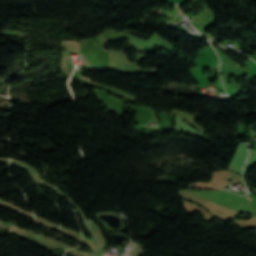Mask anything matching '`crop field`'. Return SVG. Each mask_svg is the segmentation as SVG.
I'll use <instances>...</instances> for the list:
<instances>
[{
    "label": "crop field",
    "instance_id": "obj_1",
    "mask_svg": "<svg viewBox=\"0 0 256 256\" xmlns=\"http://www.w3.org/2000/svg\"><path fill=\"white\" fill-rule=\"evenodd\" d=\"M246 198H248L247 196H246ZM249 200H251L250 198H248Z\"/></svg>",
    "mask_w": 256,
    "mask_h": 256
}]
</instances>
